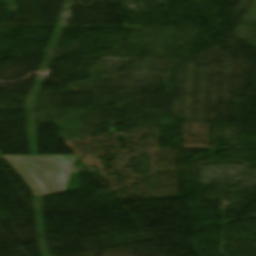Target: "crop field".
I'll return each mask as SVG.
<instances>
[{
	"label": "crop field",
	"instance_id": "8a807250",
	"mask_svg": "<svg viewBox=\"0 0 256 256\" xmlns=\"http://www.w3.org/2000/svg\"><path fill=\"white\" fill-rule=\"evenodd\" d=\"M35 196L63 193L72 169L41 160H8ZM40 192L39 195L35 194Z\"/></svg>",
	"mask_w": 256,
	"mask_h": 256
},
{
	"label": "crop field",
	"instance_id": "ac0d7876",
	"mask_svg": "<svg viewBox=\"0 0 256 256\" xmlns=\"http://www.w3.org/2000/svg\"><path fill=\"white\" fill-rule=\"evenodd\" d=\"M4 157H38L44 159H51L59 163L72 166L78 159L77 156H4Z\"/></svg>",
	"mask_w": 256,
	"mask_h": 256
},
{
	"label": "crop field",
	"instance_id": "34b2d1b8",
	"mask_svg": "<svg viewBox=\"0 0 256 256\" xmlns=\"http://www.w3.org/2000/svg\"><path fill=\"white\" fill-rule=\"evenodd\" d=\"M0 157H3V156L0 154Z\"/></svg>",
	"mask_w": 256,
	"mask_h": 256
}]
</instances>
